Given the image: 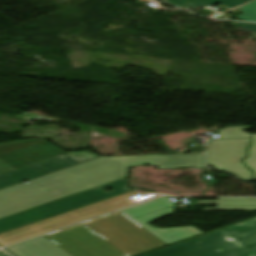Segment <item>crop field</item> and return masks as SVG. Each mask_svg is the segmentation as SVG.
<instances>
[{
    "mask_svg": "<svg viewBox=\"0 0 256 256\" xmlns=\"http://www.w3.org/2000/svg\"><path fill=\"white\" fill-rule=\"evenodd\" d=\"M137 165L205 168V161L204 154L99 157L0 190V218L128 177V169Z\"/></svg>",
    "mask_w": 256,
    "mask_h": 256,
    "instance_id": "obj_1",
    "label": "crop field"
},
{
    "mask_svg": "<svg viewBox=\"0 0 256 256\" xmlns=\"http://www.w3.org/2000/svg\"><path fill=\"white\" fill-rule=\"evenodd\" d=\"M256 219L191 239L143 256H253Z\"/></svg>",
    "mask_w": 256,
    "mask_h": 256,
    "instance_id": "obj_2",
    "label": "crop field"
},
{
    "mask_svg": "<svg viewBox=\"0 0 256 256\" xmlns=\"http://www.w3.org/2000/svg\"><path fill=\"white\" fill-rule=\"evenodd\" d=\"M158 197L152 192L133 191L0 234V245H8L76 222Z\"/></svg>",
    "mask_w": 256,
    "mask_h": 256,
    "instance_id": "obj_3",
    "label": "crop field"
},
{
    "mask_svg": "<svg viewBox=\"0 0 256 256\" xmlns=\"http://www.w3.org/2000/svg\"><path fill=\"white\" fill-rule=\"evenodd\" d=\"M82 224L126 256L165 246L163 242L120 211Z\"/></svg>",
    "mask_w": 256,
    "mask_h": 256,
    "instance_id": "obj_4",
    "label": "crop field"
},
{
    "mask_svg": "<svg viewBox=\"0 0 256 256\" xmlns=\"http://www.w3.org/2000/svg\"><path fill=\"white\" fill-rule=\"evenodd\" d=\"M247 129L248 126L221 129L218 140L209 141L206 146L208 166L231 173L239 179L253 180L252 173L240 161L246 156L245 148L250 142V134L242 131Z\"/></svg>",
    "mask_w": 256,
    "mask_h": 256,
    "instance_id": "obj_5",
    "label": "crop field"
},
{
    "mask_svg": "<svg viewBox=\"0 0 256 256\" xmlns=\"http://www.w3.org/2000/svg\"><path fill=\"white\" fill-rule=\"evenodd\" d=\"M106 187L112 188L113 191L109 193L103 191L102 189ZM98 188L99 190H96V188L94 190L0 219V233L124 193L128 190L126 178Z\"/></svg>",
    "mask_w": 256,
    "mask_h": 256,
    "instance_id": "obj_6",
    "label": "crop field"
},
{
    "mask_svg": "<svg viewBox=\"0 0 256 256\" xmlns=\"http://www.w3.org/2000/svg\"><path fill=\"white\" fill-rule=\"evenodd\" d=\"M173 209L174 204L170 201L169 197H162L121 211L146 228L150 233L159 238L166 245L202 233L194 226L161 229L154 228L147 224L154 220L171 215L173 213Z\"/></svg>",
    "mask_w": 256,
    "mask_h": 256,
    "instance_id": "obj_7",
    "label": "crop field"
},
{
    "mask_svg": "<svg viewBox=\"0 0 256 256\" xmlns=\"http://www.w3.org/2000/svg\"><path fill=\"white\" fill-rule=\"evenodd\" d=\"M45 237L72 256H125L82 224Z\"/></svg>",
    "mask_w": 256,
    "mask_h": 256,
    "instance_id": "obj_8",
    "label": "crop field"
},
{
    "mask_svg": "<svg viewBox=\"0 0 256 256\" xmlns=\"http://www.w3.org/2000/svg\"><path fill=\"white\" fill-rule=\"evenodd\" d=\"M99 157L89 151L81 153H66L3 175H0V189L31 180L59 169Z\"/></svg>",
    "mask_w": 256,
    "mask_h": 256,
    "instance_id": "obj_9",
    "label": "crop field"
},
{
    "mask_svg": "<svg viewBox=\"0 0 256 256\" xmlns=\"http://www.w3.org/2000/svg\"><path fill=\"white\" fill-rule=\"evenodd\" d=\"M63 153L65 152L43 141L25 149L1 156L0 159L18 169Z\"/></svg>",
    "mask_w": 256,
    "mask_h": 256,
    "instance_id": "obj_10",
    "label": "crop field"
},
{
    "mask_svg": "<svg viewBox=\"0 0 256 256\" xmlns=\"http://www.w3.org/2000/svg\"><path fill=\"white\" fill-rule=\"evenodd\" d=\"M6 249L15 256H71L44 236Z\"/></svg>",
    "mask_w": 256,
    "mask_h": 256,
    "instance_id": "obj_11",
    "label": "crop field"
},
{
    "mask_svg": "<svg viewBox=\"0 0 256 256\" xmlns=\"http://www.w3.org/2000/svg\"><path fill=\"white\" fill-rule=\"evenodd\" d=\"M197 204H217L216 208H203V211L256 210L254 198H218V201H197Z\"/></svg>",
    "mask_w": 256,
    "mask_h": 256,
    "instance_id": "obj_12",
    "label": "crop field"
},
{
    "mask_svg": "<svg viewBox=\"0 0 256 256\" xmlns=\"http://www.w3.org/2000/svg\"><path fill=\"white\" fill-rule=\"evenodd\" d=\"M172 5L178 6L180 8H196V7H204L211 4H222L228 8H233L236 6H240L249 2L250 0H193L194 4L188 5L186 4L189 0H165Z\"/></svg>",
    "mask_w": 256,
    "mask_h": 256,
    "instance_id": "obj_13",
    "label": "crop field"
},
{
    "mask_svg": "<svg viewBox=\"0 0 256 256\" xmlns=\"http://www.w3.org/2000/svg\"><path fill=\"white\" fill-rule=\"evenodd\" d=\"M252 136V144L248 150V158L243 160L245 165L254 171V177L256 179V134Z\"/></svg>",
    "mask_w": 256,
    "mask_h": 256,
    "instance_id": "obj_14",
    "label": "crop field"
},
{
    "mask_svg": "<svg viewBox=\"0 0 256 256\" xmlns=\"http://www.w3.org/2000/svg\"><path fill=\"white\" fill-rule=\"evenodd\" d=\"M43 141L42 139H37V140H30V141H19V142H13L10 144H0V155L9 153L11 151L20 149L22 147L28 146L30 144Z\"/></svg>",
    "mask_w": 256,
    "mask_h": 256,
    "instance_id": "obj_15",
    "label": "crop field"
},
{
    "mask_svg": "<svg viewBox=\"0 0 256 256\" xmlns=\"http://www.w3.org/2000/svg\"><path fill=\"white\" fill-rule=\"evenodd\" d=\"M240 10L243 12V15L239 16V19L243 21L256 22V0L244 7H241Z\"/></svg>",
    "mask_w": 256,
    "mask_h": 256,
    "instance_id": "obj_16",
    "label": "crop field"
},
{
    "mask_svg": "<svg viewBox=\"0 0 256 256\" xmlns=\"http://www.w3.org/2000/svg\"><path fill=\"white\" fill-rule=\"evenodd\" d=\"M235 26L256 34V24L237 23Z\"/></svg>",
    "mask_w": 256,
    "mask_h": 256,
    "instance_id": "obj_17",
    "label": "crop field"
},
{
    "mask_svg": "<svg viewBox=\"0 0 256 256\" xmlns=\"http://www.w3.org/2000/svg\"><path fill=\"white\" fill-rule=\"evenodd\" d=\"M12 170H15V169L0 160V174L6 173Z\"/></svg>",
    "mask_w": 256,
    "mask_h": 256,
    "instance_id": "obj_18",
    "label": "crop field"
},
{
    "mask_svg": "<svg viewBox=\"0 0 256 256\" xmlns=\"http://www.w3.org/2000/svg\"><path fill=\"white\" fill-rule=\"evenodd\" d=\"M0 256H8V255L0 250Z\"/></svg>",
    "mask_w": 256,
    "mask_h": 256,
    "instance_id": "obj_19",
    "label": "crop field"
}]
</instances>
